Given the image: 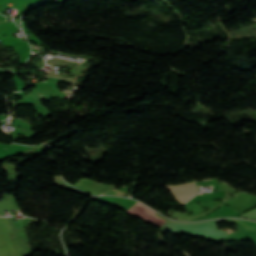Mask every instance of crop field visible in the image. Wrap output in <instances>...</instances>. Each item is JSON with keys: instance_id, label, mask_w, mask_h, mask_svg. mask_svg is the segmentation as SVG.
Instances as JSON below:
<instances>
[{"instance_id": "1", "label": "crop field", "mask_w": 256, "mask_h": 256, "mask_svg": "<svg viewBox=\"0 0 256 256\" xmlns=\"http://www.w3.org/2000/svg\"><path fill=\"white\" fill-rule=\"evenodd\" d=\"M194 187L196 188L195 185ZM194 187L192 186V184H185L181 186H168V188L173 191L176 199H178L181 204L189 200L193 195L199 192L198 189L196 188L198 191L197 192Z\"/></svg>"}]
</instances>
